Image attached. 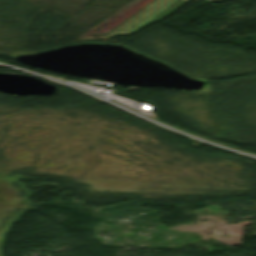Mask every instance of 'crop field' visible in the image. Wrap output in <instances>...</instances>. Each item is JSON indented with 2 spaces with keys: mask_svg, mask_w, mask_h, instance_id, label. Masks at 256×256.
I'll return each instance as SVG.
<instances>
[{
  "mask_svg": "<svg viewBox=\"0 0 256 256\" xmlns=\"http://www.w3.org/2000/svg\"><path fill=\"white\" fill-rule=\"evenodd\" d=\"M151 1H153V0H134V1H132L131 3L126 5L124 8H122L121 10L116 12L114 15L109 17L107 20L102 22L100 25H98L97 27L88 31L86 34H90V33L105 34L109 31H111L113 28H115L117 25L122 23L124 20H126L128 17L133 15L135 12H137L139 9H141L142 7H144Z\"/></svg>",
  "mask_w": 256,
  "mask_h": 256,
  "instance_id": "crop-field-1",
  "label": "crop field"
},
{
  "mask_svg": "<svg viewBox=\"0 0 256 256\" xmlns=\"http://www.w3.org/2000/svg\"><path fill=\"white\" fill-rule=\"evenodd\" d=\"M205 2H212V3H215V2H221V1H227V0H204Z\"/></svg>",
  "mask_w": 256,
  "mask_h": 256,
  "instance_id": "crop-field-2",
  "label": "crop field"
}]
</instances>
